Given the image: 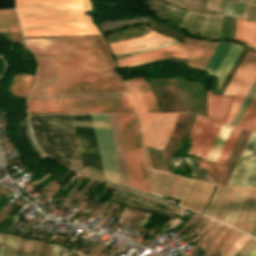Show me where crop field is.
Wrapping results in <instances>:
<instances>
[{
    "instance_id": "obj_1",
    "label": "crop field",
    "mask_w": 256,
    "mask_h": 256,
    "mask_svg": "<svg viewBox=\"0 0 256 256\" xmlns=\"http://www.w3.org/2000/svg\"><path fill=\"white\" fill-rule=\"evenodd\" d=\"M26 42L38 62L31 93L126 91L102 38Z\"/></svg>"
},
{
    "instance_id": "obj_2",
    "label": "crop field",
    "mask_w": 256,
    "mask_h": 256,
    "mask_svg": "<svg viewBox=\"0 0 256 256\" xmlns=\"http://www.w3.org/2000/svg\"><path fill=\"white\" fill-rule=\"evenodd\" d=\"M24 37L100 35L82 15L89 0H16Z\"/></svg>"
},
{
    "instance_id": "obj_3",
    "label": "crop field",
    "mask_w": 256,
    "mask_h": 256,
    "mask_svg": "<svg viewBox=\"0 0 256 256\" xmlns=\"http://www.w3.org/2000/svg\"><path fill=\"white\" fill-rule=\"evenodd\" d=\"M29 118L34 138L44 153L83 173L72 115Z\"/></svg>"
},
{
    "instance_id": "obj_4",
    "label": "crop field",
    "mask_w": 256,
    "mask_h": 256,
    "mask_svg": "<svg viewBox=\"0 0 256 256\" xmlns=\"http://www.w3.org/2000/svg\"><path fill=\"white\" fill-rule=\"evenodd\" d=\"M204 214L250 234L256 222V189L217 187Z\"/></svg>"
},
{
    "instance_id": "obj_5",
    "label": "crop field",
    "mask_w": 256,
    "mask_h": 256,
    "mask_svg": "<svg viewBox=\"0 0 256 256\" xmlns=\"http://www.w3.org/2000/svg\"><path fill=\"white\" fill-rule=\"evenodd\" d=\"M150 172L156 194L182 199L179 205L202 213L213 191V185L151 170Z\"/></svg>"
},
{
    "instance_id": "obj_6",
    "label": "crop field",
    "mask_w": 256,
    "mask_h": 256,
    "mask_svg": "<svg viewBox=\"0 0 256 256\" xmlns=\"http://www.w3.org/2000/svg\"><path fill=\"white\" fill-rule=\"evenodd\" d=\"M125 83L137 111L143 144L162 149L177 113H145L142 97L132 79Z\"/></svg>"
},
{
    "instance_id": "obj_7",
    "label": "crop field",
    "mask_w": 256,
    "mask_h": 256,
    "mask_svg": "<svg viewBox=\"0 0 256 256\" xmlns=\"http://www.w3.org/2000/svg\"><path fill=\"white\" fill-rule=\"evenodd\" d=\"M29 112L134 110L129 98L27 101Z\"/></svg>"
},
{
    "instance_id": "obj_8",
    "label": "crop field",
    "mask_w": 256,
    "mask_h": 256,
    "mask_svg": "<svg viewBox=\"0 0 256 256\" xmlns=\"http://www.w3.org/2000/svg\"><path fill=\"white\" fill-rule=\"evenodd\" d=\"M183 5H187L189 7L195 8H210L213 10H201V9H194V8H186L187 10L195 11L202 14H209V15H219L220 13V5L222 0H214L212 5V0H208V4H199V3H192V2H200V0H167ZM192 1V2H188ZM226 0H224L221 10V16H206L201 14H194L187 11L184 19L182 20L180 27L188 28L189 31L193 34L200 32V36L204 33V26H205V19H206V26H205V33L204 36L208 38H217L218 31L220 29V22L223 14V6ZM182 7V6H180Z\"/></svg>"
},
{
    "instance_id": "obj_9",
    "label": "crop field",
    "mask_w": 256,
    "mask_h": 256,
    "mask_svg": "<svg viewBox=\"0 0 256 256\" xmlns=\"http://www.w3.org/2000/svg\"><path fill=\"white\" fill-rule=\"evenodd\" d=\"M256 77V55L249 52L245 56L223 95L235 96L233 105L226 121L229 124L234 113L242 102Z\"/></svg>"
},
{
    "instance_id": "obj_10",
    "label": "crop field",
    "mask_w": 256,
    "mask_h": 256,
    "mask_svg": "<svg viewBox=\"0 0 256 256\" xmlns=\"http://www.w3.org/2000/svg\"><path fill=\"white\" fill-rule=\"evenodd\" d=\"M226 186L256 188V131H253Z\"/></svg>"
},
{
    "instance_id": "obj_11",
    "label": "crop field",
    "mask_w": 256,
    "mask_h": 256,
    "mask_svg": "<svg viewBox=\"0 0 256 256\" xmlns=\"http://www.w3.org/2000/svg\"><path fill=\"white\" fill-rule=\"evenodd\" d=\"M184 42H185L184 45L181 43H178V44L163 47L161 49L118 58L116 59L118 67L124 68L128 66H133V65L149 62V61H152L161 57H166V56L189 58L198 40L190 39L186 37Z\"/></svg>"
},
{
    "instance_id": "obj_12",
    "label": "crop field",
    "mask_w": 256,
    "mask_h": 256,
    "mask_svg": "<svg viewBox=\"0 0 256 256\" xmlns=\"http://www.w3.org/2000/svg\"><path fill=\"white\" fill-rule=\"evenodd\" d=\"M117 115H118L131 185L133 188L144 191L138 159H137L136 148H135V144L132 136V129H131V124L129 120V115L128 113H122Z\"/></svg>"
},
{
    "instance_id": "obj_13",
    "label": "crop field",
    "mask_w": 256,
    "mask_h": 256,
    "mask_svg": "<svg viewBox=\"0 0 256 256\" xmlns=\"http://www.w3.org/2000/svg\"><path fill=\"white\" fill-rule=\"evenodd\" d=\"M199 120H201V122L193 138H191ZM220 125L221 124L214 123L206 118L198 116L188 137L192 139L191 144L193 145H191L187 154H194L204 159Z\"/></svg>"
},
{
    "instance_id": "obj_14",
    "label": "crop field",
    "mask_w": 256,
    "mask_h": 256,
    "mask_svg": "<svg viewBox=\"0 0 256 256\" xmlns=\"http://www.w3.org/2000/svg\"><path fill=\"white\" fill-rule=\"evenodd\" d=\"M169 40H172V39H170L164 35H160L157 32H155L154 30H151L150 32L146 33V35H144L140 38L115 42V43H111L109 45H110V50L112 51L113 55H115V54L130 51L129 49L135 48L138 46L148 44L146 46H143V47H147L150 45H154V44L169 41ZM143 47H139V48H143ZM135 49H138V48H135ZM131 50H134V49H131Z\"/></svg>"
},
{
    "instance_id": "obj_15",
    "label": "crop field",
    "mask_w": 256,
    "mask_h": 256,
    "mask_svg": "<svg viewBox=\"0 0 256 256\" xmlns=\"http://www.w3.org/2000/svg\"><path fill=\"white\" fill-rule=\"evenodd\" d=\"M212 92L213 91H207L208 117L224 123L233 97L212 95Z\"/></svg>"
},
{
    "instance_id": "obj_16",
    "label": "crop field",
    "mask_w": 256,
    "mask_h": 256,
    "mask_svg": "<svg viewBox=\"0 0 256 256\" xmlns=\"http://www.w3.org/2000/svg\"><path fill=\"white\" fill-rule=\"evenodd\" d=\"M106 186L125 190V191H127V192H129V193H133V194H135V195H137V196H139V197H141V198H145V199H148V200H150V201H153V202L159 203V204H161V205H164V206H166V207H168V208H170V209H172V210H174V211H179V210H180V209L176 208L177 206L175 207V206H173V205L167 203L168 201L166 202V201H164V200H162V199H159V198H157V197H154V196L142 194V193L136 192V191H134V190H131V189H129V188H124V187H120V186L113 185V184H109V183H107ZM113 193H114V194H117V195H121V196L127 197V198H130V199H133V200H135V201H137V202H140V203H142V204L149 205V204H147V203H145V202H143V201H141V200H138V199H136V198H134V197L127 196V195H124V194H120V193H117V192H113ZM111 199L118 200V201H120V202H123V203L129 205V206L140 207V208H142V209H146V210H150V211H157V212L164 213V214H167V215H169V216H172V215H170V214H168V213H165V212H161V211H158V210H154V209H151V208H148V207L139 206V205H137V204H135V203H133V202H131V201H129V200L123 199V198H119V197L113 196ZM150 206H153V205H150ZM155 207H157V206H155ZM157 208L162 209V210H165V211L170 212V213H173V212H171V211H169V210H167V209L161 208V207H157ZM177 213H178V212H177ZM172 217H174V216H172Z\"/></svg>"
},
{
    "instance_id": "obj_17",
    "label": "crop field",
    "mask_w": 256,
    "mask_h": 256,
    "mask_svg": "<svg viewBox=\"0 0 256 256\" xmlns=\"http://www.w3.org/2000/svg\"><path fill=\"white\" fill-rule=\"evenodd\" d=\"M129 97L127 92L30 94L27 100Z\"/></svg>"
},
{
    "instance_id": "obj_18",
    "label": "crop field",
    "mask_w": 256,
    "mask_h": 256,
    "mask_svg": "<svg viewBox=\"0 0 256 256\" xmlns=\"http://www.w3.org/2000/svg\"><path fill=\"white\" fill-rule=\"evenodd\" d=\"M109 116H110V121H111V127H112V132H113L114 143H115V148H116L117 159H118L122 182L124 185L131 187L128 170H127V165H126V160H125V155H124V150H123V145H122V140H121V135H120V130H119V125H118V121H117V116H116V113L109 114Z\"/></svg>"
},
{
    "instance_id": "obj_19",
    "label": "crop field",
    "mask_w": 256,
    "mask_h": 256,
    "mask_svg": "<svg viewBox=\"0 0 256 256\" xmlns=\"http://www.w3.org/2000/svg\"><path fill=\"white\" fill-rule=\"evenodd\" d=\"M129 115H130V119H131V123H132V129H133V134H134V138H135V143H136V148H137V153H138V158H139V163H140V168H141V173H142V178H143L144 189H145V191L151 192L147 169H146L143 147H142V143H141V139H140V129H139L137 117H136L135 113H129Z\"/></svg>"
},
{
    "instance_id": "obj_20",
    "label": "crop field",
    "mask_w": 256,
    "mask_h": 256,
    "mask_svg": "<svg viewBox=\"0 0 256 256\" xmlns=\"http://www.w3.org/2000/svg\"><path fill=\"white\" fill-rule=\"evenodd\" d=\"M217 43L199 41L186 66L203 70Z\"/></svg>"
},
{
    "instance_id": "obj_21",
    "label": "crop field",
    "mask_w": 256,
    "mask_h": 256,
    "mask_svg": "<svg viewBox=\"0 0 256 256\" xmlns=\"http://www.w3.org/2000/svg\"><path fill=\"white\" fill-rule=\"evenodd\" d=\"M236 40L256 50V22L237 18Z\"/></svg>"
},
{
    "instance_id": "obj_22",
    "label": "crop field",
    "mask_w": 256,
    "mask_h": 256,
    "mask_svg": "<svg viewBox=\"0 0 256 256\" xmlns=\"http://www.w3.org/2000/svg\"><path fill=\"white\" fill-rule=\"evenodd\" d=\"M133 81L143 97L146 112H159L152 90L145 79L134 78Z\"/></svg>"
},
{
    "instance_id": "obj_23",
    "label": "crop field",
    "mask_w": 256,
    "mask_h": 256,
    "mask_svg": "<svg viewBox=\"0 0 256 256\" xmlns=\"http://www.w3.org/2000/svg\"><path fill=\"white\" fill-rule=\"evenodd\" d=\"M230 46L231 44L228 43H218L216 49L206 64L204 71L208 72L209 75H214Z\"/></svg>"
},
{
    "instance_id": "obj_24",
    "label": "crop field",
    "mask_w": 256,
    "mask_h": 256,
    "mask_svg": "<svg viewBox=\"0 0 256 256\" xmlns=\"http://www.w3.org/2000/svg\"><path fill=\"white\" fill-rule=\"evenodd\" d=\"M34 76L19 74L14 76V84L11 85L13 95L25 97L33 86Z\"/></svg>"
},
{
    "instance_id": "obj_25",
    "label": "crop field",
    "mask_w": 256,
    "mask_h": 256,
    "mask_svg": "<svg viewBox=\"0 0 256 256\" xmlns=\"http://www.w3.org/2000/svg\"><path fill=\"white\" fill-rule=\"evenodd\" d=\"M0 31H20L14 9L0 10Z\"/></svg>"
},
{
    "instance_id": "obj_26",
    "label": "crop field",
    "mask_w": 256,
    "mask_h": 256,
    "mask_svg": "<svg viewBox=\"0 0 256 256\" xmlns=\"http://www.w3.org/2000/svg\"><path fill=\"white\" fill-rule=\"evenodd\" d=\"M241 48L242 47H240L236 44H232L230 50L228 51L225 59L223 60L221 66L219 67V69H218V71L215 75V76H219V86H220L222 80L224 79L227 71L231 67L232 63L236 59V57H237L238 53L240 52Z\"/></svg>"
},
{
    "instance_id": "obj_27",
    "label": "crop field",
    "mask_w": 256,
    "mask_h": 256,
    "mask_svg": "<svg viewBox=\"0 0 256 256\" xmlns=\"http://www.w3.org/2000/svg\"><path fill=\"white\" fill-rule=\"evenodd\" d=\"M241 130L242 129H240V128H235V127L232 128V130L225 142V145L216 161L217 163H226Z\"/></svg>"
},
{
    "instance_id": "obj_28",
    "label": "crop field",
    "mask_w": 256,
    "mask_h": 256,
    "mask_svg": "<svg viewBox=\"0 0 256 256\" xmlns=\"http://www.w3.org/2000/svg\"><path fill=\"white\" fill-rule=\"evenodd\" d=\"M238 126L256 130V95L254 96Z\"/></svg>"
},
{
    "instance_id": "obj_29",
    "label": "crop field",
    "mask_w": 256,
    "mask_h": 256,
    "mask_svg": "<svg viewBox=\"0 0 256 256\" xmlns=\"http://www.w3.org/2000/svg\"><path fill=\"white\" fill-rule=\"evenodd\" d=\"M224 25H225V16L223 15L221 29L219 31L218 37H223ZM229 29H230V16H226V26H225L224 37H227V38L229 37ZM232 29H233V17L231 18V29H230V37H229L230 39L232 35ZM235 30H236V18H234V30H233L232 39H234Z\"/></svg>"
},
{
    "instance_id": "obj_30",
    "label": "crop field",
    "mask_w": 256,
    "mask_h": 256,
    "mask_svg": "<svg viewBox=\"0 0 256 256\" xmlns=\"http://www.w3.org/2000/svg\"><path fill=\"white\" fill-rule=\"evenodd\" d=\"M240 234H241V232L233 229V231L230 233V235L225 240L223 245L220 247L221 250H224L220 256H225L227 254V252L230 250V248L235 243V241L240 236Z\"/></svg>"
},
{
    "instance_id": "obj_31",
    "label": "crop field",
    "mask_w": 256,
    "mask_h": 256,
    "mask_svg": "<svg viewBox=\"0 0 256 256\" xmlns=\"http://www.w3.org/2000/svg\"><path fill=\"white\" fill-rule=\"evenodd\" d=\"M17 237L6 235L1 256H11Z\"/></svg>"
},
{
    "instance_id": "obj_32",
    "label": "crop field",
    "mask_w": 256,
    "mask_h": 256,
    "mask_svg": "<svg viewBox=\"0 0 256 256\" xmlns=\"http://www.w3.org/2000/svg\"><path fill=\"white\" fill-rule=\"evenodd\" d=\"M248 238L249 236L242 233L239 239L237 238L238 240L236 241V243L233 245V247L231 248V250L228 252L226 256H235L238 253V251L241 249V247L244 245V243L247 241Z\"/></svg>"
},
{
    "instance_id": "obj_33",
    "label": "crop field",
    "mask_w": 256,
    "mask_h": 256,
    "mask_svg": "<svg viewBox=\"0 0 256 256\" xmlns=\"http://www.w3.org/2000/svg\"><path fill=\"white\" fill-rule=\"evenodd\" d=\"M245 5L246 4L244 3L234 1L229 15L241 18L244 12Z\"/></svg>"
},
{
    "instance_id": "obj_34",
    "label": "crop field",
    "mask_w": 256,
    "mask_h": 256,
    "mask_svg": "<svg viewBox=\"0 0 256 256\" xmlns=\"http://www.w3.org/2000/svg\"><path fill=\"white\" fill-rule=\"evenodd\" d=\"M256 245V240L250 237V239L245 243L243 248L240 250L239 253L248 255L252 248Z\"/></svg>"
},
{
    "instance_id": "obj_35",
    "label": "crop field",
    "mask_w": 256,
    "mask_h": 256,
    "mask_svg": "<svg viewBox=\"0 0 256 256\" xmlns=\"http://www.w3.org/2000/svg\"><path fill=\"white\" fill-rule=\"evenodd\" d=\"M42 243L43 242L33 240L32 245H31V249H30V253H29L28 256H38L39 251L42 247Z\"/></svg>"
},
{
    "instance_id": "obj_36",
    "label": "crop field",
    "mask_w": 256,
    "mask_h": 256,
    "mask_svg": "<svg viewBox=\"0 0 256 256\" xmlns=\"http://www.w3.org/2000/svg\"><path fill=\"white\" fill-rule=\"evenodd\" d=\"M232 231V228L229 227V229L227 230V232L225 233V235L222 237V239L219 241V243L216 245V247L214 248V250L211 252V255H214L219 247L222 245V243L224 242V240L227 238V236L229 235V233ZM210 255V256H211Z\"/></svg>"
},
{
    "instance_id": "obj_37",
    "label": "crop field",
    "mask_w": 256,
    "mask_h": 256,
    "mask_svg": "<svg viewBox=\"0 0 256 256\" xmlns=\"http://www.w3.org/2000/svg\"><path fill=\"white\" fill-rule=\"evenodd\" d=\"M255 80H256V79H255ZM255 85H256V83H255ZM255 85H254V87H255ZM254 87L252 88L251 92L253 91ZM255 89H256V88H255ZM254 91H255V90H254ZM248 92H249V91H248ZM251 92H250V94H251ZM253 93H254V92H253ZM253 93H252V94H253ZM255 93H256V91H255ZM255 93H254V95H255ZM250 94L248 95L247 99L249 98ZM254 95H253V96H254ZM251 96H252V95H251ZM253 96H252V98H253ZM250 98H251V97H250ZM250 98H249V100H250ZM252 98H251V100H252ZM247 99H246V101H247ZM249 100H248V101H249ZM251 100H250V101H251ZM246 101H245V103H246ZM250 101H249V103H250ZM245 103L243 104V106L245 105ZM247 103H248V102H247ZM247 103H246V105H247ZM249 103H248V105H249ZM246 105H245V106H246ZM248 105H247V107H248ZM243 106H242V108H243ZM247 107H246V108H247ZM242 108H241V110H242ZM244 108H245V107H244ZM244 108H243V110H244ZM246 108H245V110H246ZM241 110H240V111H241ZM243 110H242V112H243ZM245 110H244V112H245ZM237 111H238V110H237ZM240 111H239V113H240ZM242 112H241V113H242ZM244 112L242 113V115L244 114ZM239 113H238V115H239ZM238 115H237V117H238ZM240 115H241V114H240ZM240 115H239V117H240ZM242 115H241V117H242ZM237 117H236V118H237ZM239 117H238V118H239ZM241 117H240V119H241ZM236 118H235V120H236ZM240 119H239V120H240ZM235 120H234V122H235ZM237 120H238V119H237ZM237 120H236V122H237ZM239 120H238V122H239ZM234 122H233V124H234ZM236 122H235V124H236ZM238 122H237V124H238ZM231 124H232V123H231ZM237 124H236V125H237Z\"/></svg>"
},
{
    "instance_id": "obj_38",
    "label": "crop field",
    "mask_w": 256,
    "mask_h": 256,
    "mask_svg": "<svg viewBox=\"0 0 256 256\" xmlns=\"http://www.w3.org/2000/svg\"><path fill=\"white\" fill-rule=\"evenodd\" d=\"M204 217L201 216L199 220L187 231V233L184 235V237H188L192 231L203 221Z\"/></svg>"
},
{
    "instance_id": "obj_39",
    "label": "crop field",
    "mask_w": 256,
    "mask_h": 256,
    "mask_svg": "<svg viewBox=\"0 0 256 256\" xmlns=\"http://www.w3.org/2000/svg\"><path fill=\"white\" fill-rule=\"evenodd\" d=\"M248 14H249V16H248L247 20H254L255 14H256V7L252 5Z\"/></svg>"
},
{
    "instance_id": "obj_40",
    "label": "crop field",
    "mask_w": 256,
    "mask_h": 256,
    "mask_svg": "<svg viewBox=\"0 0 256 256\" xmlns=\"http://www.w3.org/2000/svg\"><path fill=\"white\" fill-rule=\"evenodd\" d=\"M53 246H54V245H52V244L49 245V247H48V249H47V251H46V253H45L44 256H50V254H51V252H52V250H53ZM56 247H57V246L55 245V246H54L53 253H52L51 256L54 255V252H55V250H56Z\"/></svg>"
},
{
    "instance_id": "obj_41",
    "label": "crop field",
    "mask_w": 256,
    "mask_h": 256,
    "mask_svg": "<svg viewBox=\"0 0 256 256\" xmlns=\"http://www.w3.org/2000/svg\"><path fill=\"white\" fill-rule=\"evenodd\" d=\"M20 239L21 238H19V237L17 238L16 244H15V249L13 251L12 256H16V254H17V250H18V246H19V243H20Z\"/></svg>"
},
{
    "instance_id": "obj_42",
    "label": "crop field",
    "mask_w": 256,
    "mask_h": 256,
    "mask_svg": "<svg viewBox=\"0 0 256 256\" xmlns=\"http://www.w3.org/2000/svg\"><path fill=\"white\" fill-rule=\"evenodd\" d=\"M148 216H149V214H148V213H145V215L143 216V218H142V220H141L139 226L142 227V226L144 225V223L146 222Z\"/></svg>"
},
{
    "instance_id": "obj_43",
    "label": "crop field",
    "mask_w": 256,
    "mask_h": 256,
    "mask_svg": "<svg viewBox=\"0 0 256 256\" xmlns=\"http://www.w3.org/2000/svg\"><path fill=\"white\" fill-rule=\"evenodd\" d=\"M242 256V255H240ZM248 256H256V246L254 247V249L250 252V254Z\"/></svg>"
},
{
    "instance_id": "obj_44",
    "label": "crop field",
    "mask_w": 256,
    "mask_h": 256,
    "mask_svg": "<svg viewBox=\"0 0 256 256\" xmlns=\"http://www.w3.org/2000/svg\"><path fill=\"white\" fill-rule=\"evenodd\" d=\"M251 235L256 236V224L251 232ZM255 238V237H254Z\"/></svg>"
},
{
    "instance_id": "obj_45",
    "label": "crop field",
    "mask_w": 256,
    "mask_h": 256,
    "mask_svg": "<svg viewBox=\"0 0 256 256\" xmlns=\"http://www.w3.org/2000/svg\"><path fill=\"white\" fill-rule=\"evenodd\" d=\"M176 40V39H175ZM175 40H173V41H175ZM169 42H172V41H169ZM166 43H168V42H166ZM162 44H165V43H162ZM159 45H161V44H159ZM155 46H157V45H155ZM153 47V46H152ZM149 48V47H148ZM143 49H145V48H143ZM139 50H141V49H139ZM135 51H137V50H135ZM131 52H134V51H131ZM131 52H127V53H131ZM127 53H123V54H127ZM119 55H122V54H119ZM115 56H117V55H115Z\"/></svg>"
},
{
    "instance_id": "obj_46",
    "label": "crop field",
    "mask_w": 256,
    "mask_h": 256,
    "mask_svg": "<svg viewBox=\"0 0 256 256\" xmlns=\"http://www.w3.org/2000/svg\"><path fill=\"white\" fill-rule=\"evenodd\" d=\"M94 179L92 180V182L89 184V186H91V184L93 183ZM88 186V187H89ZM88 187L81 193V195L78 197L77 200H79V198L85 193V191L88 189Z\"/></svg>"
},
{
    "instance_id": "obj_47",
    "label": "crop field",
    "mask_w": 256,
    "mask_h": 256,
    "mask_svg": "<svg viewBox=\"0 0 256 256\" xmlns=\"http://www.w3.org/2000/svg\"><path fill=\"white\" fill-rule=\"evenodd\" d=\"M50 174L48 173V174H46L44 177H42L41 179H39V180H37L36 182H34V183H39L40 181H42L43 179H45L47 176H49Z\"/></svg>"
},
{
    "instance_id": "obj_48",
    "label": "crop field",
    "mask_w": 256,
    "mask_h": 256,
    "mask_svg": "<svg viewBox=\"0 0 256 256\" xmlns=\"http://www.w3.org/2000/svg\"><path fill=\"white\" fill-rule=\"evenodd\" d=\"M240 2H247V3H252L253 0H239Z\"/></svg>"
},
{
    "instance_id": "obj_49",
    "label": "crop field",
    "mask_w": 256,
    "mask_h": 256,
    "mask_svg": "<svg viewBox=\"0 0 256 256\" xmlns=\"http://www.w3.org/2000/svg\"><path fill=\"white\" fill-rule=\"evenodd\" d=\"M60 248H61V247L59 246L54 256H57V255H58Z\"/></svg>"
},
{
    "instance_id": "obj_50",
    "label": "crop field",
    "mask_w": 256,
    "mask_h": 256,
    "mask_svg": "<svg viewBox=\"0 0 256 256\" xmlns=\"http://www.w3.org/2000/svg\"><path fill=\"white\" fill-rule=\"evenodd\" d=\"M3 236H4V235L1 234L0 243H2ZM0 245H1V244H0Z\"/></svg>"
},
{
    "instance_id": "obj_51",
    "label": "crop field",
    "mask_w": 256,
    "mask_h": 256,
    "mask_svg": "<svg viewBox=\"0 0 256 256\" xmlns=\"http://www.w3.org/2000/svg\"><path fill=\"white\" fill-rule=\"evenodd\" d=\"M207 0H201V3H206Z\"/></svg>"
},
{
    "instance_id": "obj_52",
    "label": "crop field",
    "mask_w": 256,
    "mask_h": 256,
    "mask_svg": "<svg viewBox=\"0 0 256 256\" xmlns=\"http://www.w3.org/2000/svg\"><path fill=\"white\" fill-rule=\"evenodd\" d=\"M256 4V0H254V2H253V5H255Z\"/></svg>"
},
{
    "instance_id": "obj_53",
    "label": "crop field",
    "mask_w": 256,
    "mask_h": 256,
    "mask_svg": "<svg viewBox=\"0 0 256 256\" xmlns=\"http://www.w3.org/2000/svg\"><path fill=\"white\" fill-rule=\"evenodd\" d=\"M255 20H256V18H255Z\"/></svg>"
},
{
    "instance_id": "obj_54",
    "label": "crop field",
    "mask_w": 256,
    "mask_h": 256,
    "mask_svg": "<svg viewBox=\"0 0 256 256\" xmlns=\"http://www.w3.org/2000/svg\"><path fill=\"white\" fill-rule=\"evenodd\" d=\"M236 1H238V0H236Z\"/></svg>"
}]
</instances>
